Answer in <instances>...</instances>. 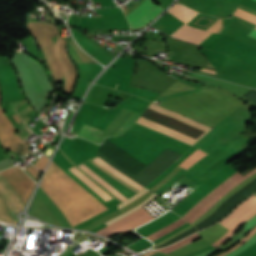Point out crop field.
<instances>
[{"mask_svg":"<svg viewBox=\"0 0 256 256\" xmlns=\"http://www.w3.org/2000/svg\"><path fill=\"white\" fill-rule=\"evenodd\" d=\"M5 179L11 184V186L19 194L24 205L26 204L35 183L33 180L19 167H11L7 170L0 172ZM0 174V184L8 191L11 196L18 212L23 209V204L15 192V190L9 185V183ZM0 185V220L8 223L16 224L18 213L13 202L11 201L7 191ZM17 225V224H16Z\"/></svg>","mask_w":256,"mask_h":256,"instance_id":"8a807250","label":"crop field"},{"mask_svg":"<svg viewBox=\"0 0 256 256\" xmlns=\"http://www.w3.org/2000/svg\"><path fill=\"white\" fill-rule=\"evenodd\" d=\"M139 115V113L123 108L105 132L83 124L77 136L86 138L96 144H101L107 136L121 135L134 123Z\"/></svg>","mask_w":256,"mask_h":256,"instance_id":"ac0d7876","label":"crop field"},{"mask_svg":"<svg viewBox=\"0 0 256 256\" xmlns=\"http://www.w3.org/2000/svg\"><path fill=\"white\" fill-rule=\"evenodd\" d=\"M148 108H151V109H153V110H156V111L161 112V113H163V114H165V115H168V116H170V117H173V118L178 119V120H180V121H182V122H185V123H187V124H190V125H192V126H194V127H197V128H199V129H202V130L206 131V132H205L204 134H202L198 139H196L195 141H193V140H191V139H189V138H186V137L181 136V135H179V134H177V133H174V132H172V131H169V130H167V129H165V128H162V127H160V126H157V125H155V124H153V123H150V122H148V121H145V120H143V119H141V118H139L138 121L136 122V124H138V125H140V126H143V127L147 128V129H150V130H152V131H154V132H157V133H159V134H161V135H164V136H166V137H168V138H171V139H173V140H175V141H178V142H180V143H182V144H185V145H187V146H189V147H191L193 144H195L200 138H202L208 131L211 130V128H209V127H207V126H205V125H203V124H200V123H198V122H196V121H193V120H191V119H188V118H186V117H184V116H182V115H180V114H177V113H175V112H172V111H169V110H167V109H164V108H162V107H160V106H158V105H156V104L150 103L149 106H148Z\"/></svg>","mask_w":256,"mask_h":256,"instance_id":"34b2d1b8","label":"crop field"},{"mask_svg":"<svg viewBox=\"0 0 256 256\" xmlns=\"http://www.w3.org/2000/svg\"><path fill=\"white\" fill-rule=\"evenodd\" d=\"M256 172V169L252 170L251 172L247 173L246 175H244V177L240 178L241 174L239 173H234L232 176H230L227 180H225L222 184H220L217 188H215L212 192H210L206 197H204L200 202H198L190 211H188L182 218H184L185 220H189L190 218H192L198 211H200L209 201H211L213 198H215L217 195H219L222 191H224L227 187H229L233 182H235L234 184H232L229 188H227L223 193H221L218 197H216L215 199H213L211 202H209L199 213H197L192 219H190L188 222H193L195 219L199 218L201 215H203L209 208H211L215 202L221 198L224 194H226L230 189H232L234 186H236L238 183H240L241 181H243L244 179H246L248 176H250L252 173Z\"/></svg>","mask_w":256,"mask_h":256,"instance_id":"412701ff","label":"crop field"},{"mask_svg":"<svg viewBox=\"0 0 256 256\" xmlns=\"http://www.w3.org/2000/svg\"><path fill=\"white\" fill-rule=\"evenodd\" d=\"M152 219L149 213L140 208L139 210L127 215L123 219L97 231L96 233L105 235L107 237L115 233H124L127 232L145 222Z\"/></svg>","mask_w":256,"mask_h":256,"instance_id":"f4fd0767","label":"crop field"},{"mask_svg":"<svg viewBox=\"0 0 256 256\" xmlns=\"http://www.w3.org/2000/svg\"><path fill=\"white\" fill-rule=\"evenodd\" d=\"M164 9L151 2L145 0L128 14L125 15L130 23V28L135 29L146 26L152 19L160 14Z\"/></svg>","mask_w":256,"mask_h":256,"instance_id":"dd49c442","label":"crop field"},{"mask_svg":"<svg viewBox=\"0 0 256 256\" xmlns=\"http://www.w3.org/2000/svg\"><path fill=\"white\" fill-rule=\"evenodd\" d=\"M91 161H93L94 163H96L97 165H99L100 167H102L103 169H105L106 171L111 173L112 175L116 176L120 180L124 181L125 183H127L131 187L135 188L136 190L139 191L142 188H144V187L140 186L139 184L135 183L134 181H132L131 179L127 178L126 176H124L122 173L118 172L117 170H115L111 166L107 165L103 161L99 160L97 157L94 158ZM79 167L82 168L93 179H95L97 182H99L101 185H103L105 188H107L109 191H111L113 194H115L119 199H121L123 201H125L127 199L123 195H121L118 191H116L113 187H111L109 184H107L104 180H102L99 176H97L95 173H93L84 164L83 165H79Z\"/></svg>","mask_w":256,"mask_h":256,"instance_id":"e52e79f7","label":"crop field"},{"mask_svg":"<svg viewBox=\"0 0 256 256\" xmlns=\"http://www.w3.org/2000/svg\"><path fill=\"white\" fill-rule=\"evenodd\" d=\"M210 32L201 30L195 27H191L188 25H183L180 27L175 33H173L171 36L192 42L194 44H198L204 37H206ZM212 32L205 38L207 39ZM203 39L199 45L205 40Z\"/></svg>","mask_w":256,"mask_h":256,"instance_id":"d8731c3e","label":"crop field"},{"mask_svg":"<svg viewBox=\"0 0 256 256\" xmlns=\"http://www.w3.org/2000/svg\"><path fill=\"white\" fill-rule=\"evenodd\" d=\"M85 184H87L91 189L98 193L105 200L111 199L112 197L108 195L104 190H102L98 185H96L92 180H90L86 175H84L79 169L75 166L68 169Z\"/></svg>","mask_w":256,"mask_h":256,"instance_id":"5a996713","label":"crop field"},{"mask_svg":"<svg viewBox=\"0 0 256 256\" xmlns=\"http://www.w3.org/2000/svg\"><path fill=\"white\" fill-rule=\"evenodd\" d=\"M172 15L180 19L182 22H186L189 20L193 15H195L197 12L190 10L188 8H185L180 5L174 4L169 10Z\"/></svg>","mask_w":256,"mask_h":256,"instance_id":"3316defc","label":"crop field"},{"mask_svg":"<svg viewBox=\"0 0 256 256\" xmlns=\"http://www.w3.org/2000/svg\"><path fill=\"white\" fill-rule=\"evenodd\" d=\"M256 214V209L240 219L225 235H223L216 243L212 244L214 247L223 243L228 237H230L245 221L250 219Z\"/></svg>","mask_w":256,"mask_h":256,"instance_id":"28ad6ade","label":"crop field"},{"mask_svg":"<svg viewBox=\"0 0 256 256\" xmlns=\"http://www.w3.org/2000/svg\"><path fill=\"white\" fill-rule=\"evenodd\" d=\"M185 223H186V221H184V220L181 218V219L177 220L176 222H174V223H172V224H170V225H168V226H166V227H164V228L158 230L157 232H155V233H153V234H151V235H149V236H147V237H145V238H147V239L153 241V240H155L156 238H158V237H160V236H162V235H164V234H166V233H168V232H170V231H172V230H174V229H176V228L182 226V225L185 224Z\"/></svg>","mask_w":256,"mask_h":256,"instance_id":"d1516ede","label":"crop field"},{"mask_svg":"<svg viewBox=\"0 0 256 256\" xmlns=\"http://www.w3.org/2000/svg\"><path fill=\"white\" fill-rule=\"evenodd\" d=\"M206 154L208 153L199 148L195 153H193L190 157L184 160L179 166L187 169Z\"/></svg>","mask_w":256,"mask_h":256,"instance_id":"22f410ed","label":"crop field"},{"mask_svg":"<svg viewBox=\"0 0 256 256\" xmlns=\"http://www.w3.org/2000/svg\"><path fill=\"white\" fill-rule=\"evenodd\" d=\"M198 237L199 236H197L196 234H193V235H191V236H189V237H187V238H185V239H183V240H181V241H179V242H177L173 245H170V246L165 247V248L157 249V250H154V251H160V252L168 253V252H170L174 249H177V248H179L183 245H186V244L190 243L191 241L195 240Z\"/></svg>","mask_w":256,"mask_h":256,"instance_id":"cbeb9de0","label":"crop field"},{"mask_svg":"<svg viewBox=\"0 0 256 256\" xmlns=\"http://www.w3.org/2000/svg\"><path fill=\"white\" fill-rule=\"evenodd\" d=\"M237 12H239V13H241V14H244V15H246V16H249V17H251V18H253V19H256V16L255 15H253V14H250V13H248V12H246V11H243V10H241V9H237ZM237 12H235L234 13V15H236V16H238V17H240V18H243V19H245V20H247V21H250V22H252V23H254V24H256V20H253V19H251V18H249V17H246V16H244V15H241V14H239V13H237ZM255 29H256V27H255ZM254 29V30H255ZM253 30V31H254ZM252 31V32H253ZM252 32H250L249 34H248V36H250V37H253V38H255L256 39V34H254V33H252Z\"/></svg>","mask_w":256,"mask_h":256,"instance_id":"5142ce71","label":"crop field"},{"mask_svg":"<svg viewBox=\"0 0 256 256\" xmlns=\"http://www.w3.org/2000/svg\"><path fill=\"white\" fill-rule=\"evenodd\" d=\"M153 195H154V193H153L151 196H149L145 201H143L141 204L147 202ZM155 196H156V194H155L150 200H152ZM150 200H149V201H150ZM149 201H148V202H149ZM148 202H147V203H148ZM141 204H139L138 206H140ZM145 204H146V203H145ZM145 204L141 205L140 207L144 206ZM138 206H136V207H138ZM136 207H134V208H136ZM140 207H138V208H140ZM134 208H132V209H134ZM138 208H136V209H138ZM132 209H130V210H132ZM136 209H134V210H136ZM130 210H129V211H130ZM134 210H132V211H134ZM129 211H127V212H129ZM132 211H130V212H132ZM127 212H125V213H127ZM130 212H129V213H130ZM125 213H123V214H125ZM129 213H127V214H129ZM123 214H121V215H123ZM127 214H125V215H127ZM121 215H119V216H121ZM125 215H123V216H125ZM119 216H117V217H119ZM123 216H121V217H123ZM117 217L113 218L112 220L116 219ZM121 217H119V218H121ZM119 218H117L116 220H118ZM112 220H110V221H112ZM116 220H114V221H116ZM110 221H108V222H110ZM114 221H112V222H114ZM108 222H106V223H108ZM112 222H110V223H112ZM106 223H105V224H106ZM110 223H108V224H110ZM108 224H107V225H108Z\"/></svg>","mask_w":256,"mask_h":256,"instance_id":"d9b57169","label":"crop field"},{"mask_svg":"<svg viewBox=\"0 0 256 256\" xmlns=\"http://www.w3.org/2000/svg\"><path fill=\"white\" fill-rule=\"evenodd\" d=\"M256 232V227L254 229H252L242 240H240V242L236 245H234L229 251L235 249L237 246H239L242 242L246 241L247 239H249L254 233ZM227 251V252H229Z\"/></svg>","mask_w":256,"mask_h":256,"instance_id":"733c2abd","label":"crop field"},{"mask_svg":"<svg viewBox=\"0 0 256 256\" xmlns=\"http://www.w3.org/2000/svg\"><path fill=\"white\" fill-rule=\"evenodd\" d=\"M148 189L144 188L141 191H139L138 193H136L134 196H132L131 198H129V200L123 202L122 204L118 205V208L124 206L125 204H127L128 202L134 200L136 197H138L139 195L143 194L144 192H146ZM149 191V190H148ZM139 198V197H138ZM137 199V198H136Z\"/></svg>","mask_w":256,"mask_h":256,"instance_id":"4a817a6b","label":"crop field"},{"mask_svg":"<svg viewBox=\"0 0 256 256\" xmlns=\"http://www.w3.org/2000/svg\"><path fill=\"white\" fill-rule=\"evenodd\" d=\"M169 174H170V173H169ZM169 174H168V175H169ZM168 175H167V176H168ZM164 178H165V177H164ZM160 181H161V180H160ZM160 181H159V182H160ZM159 182H158V183H159ZM156 184H157V183H156ZM156 184H155V185H156ZM155 185H154V186H155ZM151 188H152V187H151Z\"/></svg>","mask_w":256,"mask_h":256,"instance_id":"bc2a9ffb","label":"crop field"},{"mask_svg":"<svg viewBox=\"0 0 256 256\" xmlns=\"http://www.w3.org/2000/svg\"><path fill=\"white\" fill-rule=\"evenodd\" d=\"M117 85H118V84H116L115 89L117 88Z\"/></svg>","mask_w":256,"mask_h":256,"instance_id":"214f88e0","label":"crop field"},{"mask_svg":"<svg viewBox=\"0 0 256 256\" xmlns=\"http://www.w3.org/2000/svg\"><path fill=\"white\" fill-rule=\"evenodd\" d=\"M254 1H256V0H254Z\"/></svg>","mask_w":256,"mask_h":256,"instance_id":"92a150f3","label":"crop field"}]
</instances>
